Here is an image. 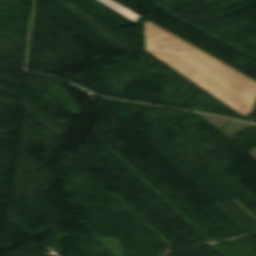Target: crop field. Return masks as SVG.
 I'll list each match as a JSON object with an SVG mask.
<instances>
[{"label": "crop field", "mask_w": 256, "mask_h": 256, "mask_svg": "<svg viewBox=\"0 0 256 256\" xmlns=\"http://www.w3.org/2000/svg\"><path fill=\"white\" fill-rule=\"evenodd\" d=\"M145 51L243 116L256 103V81L147 20Z\"/></svg>", "instance_id": "obj_1"}]
</instances>
